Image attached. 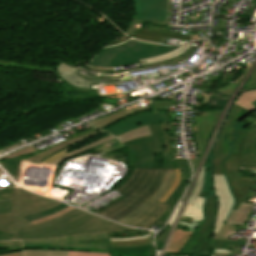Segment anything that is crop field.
Returning a JSON list of instances; mask_svg holds the SVG:
<instances>
[{"label": "crop field", "mask_w": 256, "mask_h": 256, "mask_svg": "<svg viewBox=\"0 0 256 256\" xmlns=\"http://www.w3.org/2000/svg\"><path fill=\"white\" fill-rule=\"evenodd\" d=\"M128 229L104 219L73 209L47 222L18 229L13 240H37Z\"/></svg>", "instance_id": "obj_1"}, {"label": "crop field", "mask_w": 256, "mask_h": 256, "mask_svg": "<svg viewBox=\"0 0 256 256\" xmlns=\"http://www.w3.org/2000/svg\"><path fill=\"white\" fill-rule=\"evenodd\" d=\"M165 175V169L148 170L134 168L124 184L115 189L126 197L114 202L97 214L115 221L125 217L155 193Z\"/></svg>", "instance_id": "obj_2"}, {"label": "crop field", "mask_w": 256, "mask_h": 256, "mask_svg": "<svg viewBox=\"0 0 256 256\" xmlns=\"http://www.w3.org/2000/svg\"><path fill=\"white\" fill-rule=\"evenodd\" d=\"M237 135L232 154L224 160L221 166L235 201L232 207L234 210H237L240 203L244 202L253 183L240 178L239 166L256 168V128L251 131L238 130Z\"/></svg>", "instance_id": "obj_3"}, {"label": "crop field", "mask_w": 256, "mask_h": 256, "mask_svg": "<svg viewBox=\"0 0 256 256\" xmlns=\"http://www.w3.org/2000/svg\"><path fill=\"white\" fill-rule=\"evenodd\" d=\"M179 46H162L130 40L120 45L102 49L90 62L92 66H118L170 52Z\"/></svg>", "instance_id": "obj_4"}, {"label": "crop field", "mask_w": 256, "mask_h": 256, "mask_svg": "<svg viewBox=\"0 0 256 256\" xmlns=\"http://www.w3.org/2000/svg\"><path fill=\"white\" fill-rule=\"evenodd\" d=\"M60 202L31 194L23 189L13 190L11 214L0 215V231L15 234L18 228L29 226L21 217L31 215L58 205Z\"/></svg>", "instance_id": "obj_5"}, {"label": "crop field", "mask_w": 256, "mask_h": 256, "mask_svg": "<svg viewBox=\"0 0 256 256\" xmlns=\"http://www.w3.org/2000/svg\"><path fill=\"white\" fill-rule=\"evenodd\" d=\"M23 249L83 250L109 253L108 233L57 238L38 241H24Z\"/></svg>", "instance_id": "obj_6"}, {"label": "crop field", "mask_w": 256, "mask_h": 256, "mask_svg": "<svg viewBox=\"0 0 256 256\" xmlns=\"http://www.w3.org/2000/svg\"><path fill=\"white\" fill-rule=\"evenodd\" d=\"M148 126L152 136L123 144L124 146L127 145L129 150L131 167L154 169V153L164 152L160 124Z\"/></svg>", "instance_id": "obj_7"}, {"label": "crop field", "mask_w": 256, "mask_h": 256, "mask_svg": "<svg viewBox=\"0 0 256 256\" xmlns=\"http://www.w3.org/2000/svg\"><path fill=\"white\" fill-rule=\"evenodd\" d=\"M175 176V170H167V175L157 192L142 206L135 209L127 217L119 220L118 222L144 228L158 215H160L165 207L164 204L157 203V201L166 193L173 183Z\"/></svg>", "instance_id": "obj_8"}, {"label": "crop field", "mask_w": 256, "mask_h": 256, "mask_svg": "<svg viewBox=\"0 0 256 256\" xmlns=\"http://www.w3.org/2000/svg\"><path fill=\"white\" fill-rule=\"evenodd\" d=\"M216 204L217 201L213 195L207 197L203 207L204 220L200 223L199 228L192 234L189 241L186 242L179 253L209 255V236L212 230Z\"/></svg>", "instance_id": "obj_9"}, {"label": "crop field", "mask_w": 256, "mask_h": 256, "mask_svg": "<svg viewBox=\"0 0 256 256\" xmlns=\"http://www.w3.org/2000/svg\"><path fill=\"white\" fill-rule=\"evenodd\" d=\"M169 105V100H153L151 107L152 113L142 114L131 119H127L106 131L117 136L121 133H125L127 131L142 127L147 124L168 121L165 113H159V110H164L163 107Z\"/></svg>", "instance_id": "obj_10"}, {"label": "crop field", "mask_w": 256, "mask_h": 256, "mask_svg": "<svg viewBox=\"0 0 256 256\" xmlns=\"http://www.w3.org/2000/svg\"><path fill=\"white\" fill-rule=\"evenodd\" d=\"M136 3L134 20L149 21L154 19L166 24L168 0H132Z\"/></svg>", "instance_id": "obj_11"}, {"label": "crop field", "mask_w": 256, "mask_h": 256, "mask_svg": "<svg viewBox=\"0 0 256 256\" xmlns=\"http://www.w3.org/2000/svg\"><path fill=\"white\" fill-rule=\"evenodd\" d=\"M233 107L234 105L232 106L231 111ZM231 111L228 117L225 119L224 125L216 142L213 162V174H223L220 168L221 163L231 153L233 149V146L228 147V142H231L234 139V137L230 134L233 133L232 125L236 123V121L228 119Z\"/></svg>", "instance_id": "obj_12"}, {"label": "crop field", "mask_w": 256, "mask_h": 256, "mask_svg": "<svg viewBox=\"0 0 256 256\" xmlns=\"http://www.w3.org/2000/svg\"><path fill=\"white\" fill-rule=\"evenodd\" d=\"M221 111H208L207 117L197 116L196 122V137L199 147L200 158L202 156L203 150L205 149L206 143L205 139L213 124H216ZM207 140V139H206ZM200 159L191 160L193 171L195 172Z\"/></svg>", "instance_id": "obj_13"}, {"label": "crop field", "mask_w": 256, "mask_h": 256, "mask_svg": "<svg viewBox=\"0 0 256 256\" xmlns=\"http://www.w3.org/2000/svg\"><path fill=\"white\" fill-rule=\"evenodd\" d=\"M204 179V167L200 173V176L196 182L194 191L187 202V205L183 211L184 216L192 217L195 221L203 220L202 206L204 204V198H198Z\"/></svg>", "instance_id": "obj_14"}, {"label": "crop field", "mask_w": 256, "mask_h": 256, "mask_svg": "<svg viewBox=\"0 0 256 256\" xmlns=\"http://www.w3.org/2000/svg\"><path fill=\"white\" fill-rule=\"evenodd\" d=\"M162 37L191 41V35L172 34L143 28L140 29L134 38L140 41L159 43Z\"/></svg>", "instance_id": "obj_15"}, {"label": "crop field", "mask_w": 256, "mask_h": 256, "mask_svg": "<svg viewBox=\"0 0 256 256\" xmlns=\"http://www.w3.org/2000/svg\"><path fill=\"white\" fill-rule=\"evenodd\" d=\"M151 107V102L148 106H145V107H138L134 110H131V111H126L125 108L119 110V111H116L114 113H111L109 115H106L102 118H99V119H96V120H92L91 122H89L93 127L97 128V129H101L127 115H130V114H133L135 112H139V111H142V110H148L150 109Z\"/></svg>", "instance_id": "obj_16"}, {"label": "crop field", "mask_w": 256, "mask_h": 256, "mask_svg": "<svg viewBox=\"0 0 256 256\" xmlns=\"http://www.w3.org/2000/svg\"><path fill=\"white\" fill-rule=\"evenodd\" d=\"M100 132H102V131H97V132L88 134V135H86V136H84L82 138H74V139H72L70 141H66V142L60 143V144H58V145H56V146H54V147H52V148H50V149H48L46 151H44V152L34 156V157H31V158H29L27 160L31 161V162L40 163L41 161L45 160L46 158H48L52 154H54V153H56V152H58V151H60V150H62L64 148H66V147H68V146H70L72 144H75V143H77V142H79V141H81V140H83V139H85L87 137H90V136H93L95 134H98Z\"/></svg>", "instance_id": "obj_17"}, {"label": "crop field", "mask_w": 256, "mask_h": 256, "mask_svg": "<svg viewBox=\"0 0 256 256\" xmlns=\"http://www.w3.org/2000/svg\"><path fill=\"white\" fill-rule=\"evenodd\" d=\"M111 256H153L154 252L151 247H131V248H110Z\"/></svg>", "instance_id": "obj_18"}, {"label": "crop field", "mask_w": 256, "mask_h": 256, "mask_svg": "<svg viewBox=\"0 0 256 256\" xmlns=\"http://www.w3.org/2000/svg\"><path fill=\"white\" fill-rule=\"evenodd\" d=\"M192 233L176 229L166 252L178 253Z\"/></svg>", "instance_id": "obj_19"}, {"label": "crop field", "mask_w": 256, "mask_h": 256, "mask_svg": "<svg viewBox=\"0 0 256 256\" xmlns=\"http://www.w3.org/2000/svg\"><path fill=\"white\" fill-rule=\"evenodd\" d=\"M252 103H256V90L242 93V95L235 101V104L242 106L250 112L254 110V106L251 105Z\"/></svg>", "instance_id": "obj_20"}, {"label": "crop field", "mask_w": 256, "mask_h": 256, "mask_svg": "<svg viewBox=\"0 0 256 256\" xmlns=\"http://www.w3.org/2000/svg\"><path fill=\"white\" fill-rule=\"evenodd\" d=\"M146 136H150L148 126L139 128V129L131 131V132H127L125 134L118 136L117 138H119L122 141V143H124V142L130 141V140H133L135 138H142V137H146Z\"/></svg>", "instance_id": "obj_21"}, {"label": "crop field", "mask_w": 256, "mask_h": 256, "mask_svg": "<svg viewBox=\"0 0 256 256\" xmlns=\"http://www.w3.org/2000/svg\"><path fill=\"white\" fill-rule=\"evenodd\" d=\"M9 65L19 67V68H23V69H28V70H35V71L54 72V70H55V68H45V67L20 63V62L0 61V66L1 67L8 68Z\"/></svg>", "instance_id": "obj_22"}, {"label": "crop field", "mask_w": 256, "mask_h": 256, "mask_svg": "<svg viewBox=\"0 0 256 256\" xmlns=\"http://www.w3.org/2000/svg\"><path fill=\"white\" fill-rule=\"evenodd\" d=\"M112 138H114V137L112 135H110V136H107V137H105V138H103L101 140L95 141V142H93V143H91L89 145H86V146H84V147H82V148H80V149H78L76 151H72V152L68 153L67 155H65V156H63V157H61V158L51 162L50 164H58V163H60V162H62L64 160H66L67 158L75 155V154L83 152V151H85V150H87L89 148H93V147H95V146H97L99 144H102V143H104V142H106V141H108V140H110Z\"/></svg>", "instance_id": "obj_23"}, {"label": "crop field", "mask_w": 256, "mask_h": 256, "mask_svg": "<svg viewBox=\"0 0 256 256\" xmlns=\"http://www.w3.org/2000/svg\"><path fill=\"white\" fill-rule=\"evenodd\" d=\"M187 183L188 181L181 180L176 190L167 198V200L165 201V204L176 206L179 198L182 196V194L185 191Z\"/></svg>", "instance_id": "obj_24"}, {"label": "crop field", "mask_w": 256, "mask_h": 256, "mask_svg": "<svg viewBox=\"0 0 256 256\" xmlns=\"http://www.w3.org/2000/svg\"><path fill=\"white\" fill-rule=\"evenodd\" d=\"M150 239H141V240H129L122 242H110V247H131V246H142L151 244Z\"/></svg>", "instance_id": "obj_25"}, {"label": "crop field", "mask_w": 256, "mask_h": 256, "mask_svg": "<svg viewBox=\"0 0 256 256\" xmlns=\"http://www.w3.org/2000/svg\"><path fill=\"white\" fill-rule=\"evenodd\" d=\"M67 207L68 206H66V205L61 203L60 205H58L55 208H52V209H49V210H46V211H43V212L31 215V216H28V217H24V219L26 221L30 222V221H33V220H37V219L43 218V217L48 216L50 214H53L55 212L61 211V210L65 209V208H67Z\"/></svg>", "instance_id": "obj_26"}, {"label": "crop field", "mask_w": 256, "mask_h": 256, "mask_svg": "<svg viewBox=\"0 0 256 256\" xmlns=\"http://www.w3.org/2000/svg\"><path fill=\"white\" fill-rule=\"evenodd\" d=\"M176 167L181 169V179L189 180L191 177V170L186 159L174 160Z\"/></svg>", "instance_id": "obj_27"}, {"label": "crop field", "mask_w": 256, "mask_h": 256, "mask_svg": "<svg viewBox=\"0 0 256 256\" xmlns=\"http://www.w3.org/2000/svg\"><path fill=\"white\" fill-rule=\"evenodd\" d=\"M245 241L212 240L213 249H226L228 245L244 246Z\"/></svg>", "instance_id": "obj_28"}, {"label": "crop field", "mask_w": 256, "mask_h": 256, "mask_svg": "<svg viewBox=\"0 0 256 256\" xmlns=\"http://www.w3.org/2000/svg\"><path fill=\"white\" fill-rule=\"evenodd\" d=\"M250 112L246 111L245 109H243L242 107L235 105L233 112L230 116V118L236 120V121H240L242 120L244 117H246L247 115H249Z\"/></svg>", "instance_id": "obj_29"}, {"label": "crop field", "mask_w": 256, "mask_h": 256, "mask_svg": "<svg viewBox=\"0 0 256 256\" xmlns=\"http://www.w3.org/2000/svg\"><path fill=\"white\" fill-rule=\"evenodd\" d=\"M19 159H20L19 157L12 158V159L0 162V164L3 167H5L7 170H9L14 176Z\"/></svg>", "instance_id": "obj_30"}, {"label": "crop field", "mask_w": 256, "mask_h": 256, "mask_svg": "<svg viewBox=\"0 0 256 256\" xmlns=\"http://www.w3.org/2000/svg\"><path fill=\"white\" fill-rule=\"evenodd\" d=\"M175 170H176L175 181L172 184L171 188L168 190V192L159 200V202L164 203L166 198L174 191L175 187L177 186V184H178V182L180 180V170L179 169H175Z\"/></svg>", "instance_id": "obj_31"}, {"label": "crop field", "mask_w": 256, "mask_h": 256, "mask_svg": "<svg viewBox=\"0 0 256 256\" xmlns=\"http://www.w3.org/2000/svg\"><path fill=\"white\" fill-rule=\"evenodd\" d=\"M68 256H109V254L91 253L83 251H68Z\"/></svg>", "instance_id": "obj_32"}, {"label": "crop field", "mask_w": 256, "mask_h": 256, "mask_svg": "<svg viewBox=\"0 0 256 256\" xmlns=\"http://www.w3.org/2000/svg\"><path fill=\"white\" fill-rule=\"evenodd\" d=\"M12 208V199L0 200V214L10 212Z\"/></svg>", "instance_id": "obj_33"}, {"label": "crop field", "mask_w": 256, "mask_h": 256, "mask_svg": "<svg viewBox=\"0 0 256 256\" xmlns=\"http://www.w3.org/2000/svg\"><path fill=\"white\" fill-rule=\"evenodd\" d=\"M71 209H73V207H69V208H67V209H65V210H63V211H61V212H58V213H56V214L50 215V216H48V217H45V218L40 219V220H37V221L30 222V223H31L32 225H34V224H38V223L47 221V220H49V219H51V218H54V217H56V216H58V215H60V214L65 213V212H67V211H69V210H71Z\"/></svg>", "instance_id": "obj_34"}, {"label": "crop field", "mask_w": 256, "mask_h": 256, "mask_svg": "<svg viewBox=\"0 0 256 256\" xmlns=\"http://www.w3.org/2000/svg\"><path fill=\"white\" fill-rule=\"evenodd\" d=\"M69 149H71V147H68V148H66V149H64V150H62V151L52 155L51 157H49L48 159H46L45 161H43L41 163L48 164L49 162H51V161H53V160H55V159L65 155V154H67L65 151H67Z\"/></svg>", "instance_id": "obj_35"}, {"label": "crop field", "mask_w": 256, "mask_h": 256, "mask_svg": "<svg viewBox=\"0 0 256 256\" xmlns=\"http://www.w3.org/2000/svg\"><path fill=\"white\" fill-rule=\"evenodd\" d=\"M21 246V241L0 242V248H12Z\"/></svg>", "instance_id": "obj_36"}, {"label": "crop field", "mask_w": 256, "mask_h": 256, "mask_svg": "<svg viewBox=\"0 0 256 256\" xmlns=\"http://www.w3.org/2000/svg\"><path fill=\"white\" fill-rule=\"evenodd\" d=\"M162 157H163V161H164L166 169L176 168L174 165V162H173V160H171L169 154H162Z\"/></svg>", "instance_id": "obj_37"}, {"label": "crop field", "mask_w": 256, "mask_h": 256, "mask_svg": "<svg viewBox=\"0 0 256 256\" xmlns=\"http://www.w3.org/2000/svg\"><path fill=\"white\" fill-rule=\"evenodd\" d=\"M11 189H13V187L0 190V198L1 199L11 198Z\"/></svg>", "instance_id": "obj_38"}, {"label": "crop field", "mask_w": 256, "mask_h": 256, "mask_svg": "<svg viewBox=\"0 0 256 256\" xmlns=\"http://www.w3.org/2000/svg\"><path fill=\"white\" fill-rule=\"evenodd\" d=\"M170 226L168 227V229L160 236L156 239V245L160 244V243H163L169 233V230H170Z\"/></svg>", "instance_id": "obj_39"}, {"label": "crop field", "mask_w": 256, "mask_h": 256, "mask_svg": "<svg viewBox=\"0 0 256 256\" xmlns=\"http://www.w3.org/2000/svg\"><path fill=\"white\" fill-rule=\"evenodd\" d=\"M12 237H13L12 234L0 232V240H9V239H12Z\"/></svg>", "instance_id": "obj_40"}, {"label": "crop field", "mask_w": 256, "mask_h": 256, "mask_svg": "<svg viewBox=\"0 0 256 256\" xmlns=\"http://www.w3.org/2000/svg\"><path fill=\"white\" fill-rule=\"evenodd\" d=\"M173 207H171V209L169 210V212L167 213V215L165 216V218L163 219V221L160 223V225L164 226V224L167 222L168 218L170 217L172 211H173Z\"/></svg>", "instance_id": "obj_41"}, {"label": "crop field", "mask_w": 256, "mask_h": 256, "mask_svg": "<svg viewBox=\"0 0 256 256\" xmlns=\"http://www.w3.org/2000/svg\"><path fill=\"white\" fill-rule=\"evenodd\" d=\"M22 162L23 161H20L19 164H18V167H17V172H16V175H15V179L17 180L18 177H19V173H20V169H21V166H22Z\"/></svg>", "instance_id": "obj_42"}, {"label": "crop field", "mask_w": 256, "mask_h": 256, "mask_svg": "<svg viewBox=\"0 0 256 256\" xmlns=\"http://www.w3.org/2000/svg\"><path fill=\"white\" fill-rule=\"evenodd\" d=\"M20 253H21V251L8 253V254H0V256H20Z\"/></svg>", "instance_id": "obj_43"}, {"label": "crop field", "mask_w": 256, "mask_h": 256, "mask_svg": "<svg viewBox=\"0 0 256 256\" xmlns=\"http://www.w3.org/2000/svg\"><path fill=\"white\" fill-rule=\"evenodd\" d=\"M24 144H26V143H24ZM17 145H22V143L19 142V143L14 144V145H12V146H10V147H7V148H5V149H3V150H8V149H10V148H12V147H14V146H17ZM3 150H0V152L3 151Z\"/></svg>", "instance_id": "obj_44"}, {"label": "crop field", "mask_w": 256, "mask_h": 256, "mask_svg": "<svg viewBox=\"0 0 256 256\" xmlns=\"http://www.w3.org/2000/svg\"><path fill=\"white\" fill-rule=\"evenodd\" d=\"M255 10H256V6H254V7H252L250 9V16H251V18L253 17V14H254Z\"/></svg>", "instance_id": "obj_45"}, {"label": "crop field", "mask_w": 256, "mask_h": 256, "mask_svg": "<svg viewBox=\"0 0 256 256\" xmlns=\"http://www.w3.org/2000/svg\"><path fill=\"white\" fill-rule=\"evenodd\" d=\"M244 179H246V178H244ZM248 180H250V179H248ZM252 181H254V180H252ZM256 182V181H255Z\"/></svg>", "instance_id": "obj_46"}, {"label": "crop field", "mask_w": 256, "mask_h": 256, "mask_svg": "<svg viewBox=\"0 0 256 256\" xmlns=\"http://www.w3.org/2000/svg\"><path fill=\"white\" fill-rule=\"evenodd\" d=\"M1 171V170H0Z\"/></svg>", "instance_id": "obj_47"}]
</instances>
